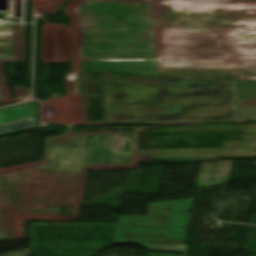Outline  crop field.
<instances>
[{
	"mask_svg": "<svg viewBox=\"0 0 256 256\" xmlns=\"http://www.w3.org/2000/svg\"><path fill=\"white\" fill-rule=\"evenodd\" d=\"M149 251L185 252L186 245L135 244Z\"/></svg>",
	"mask_w": 256,
	"mask_h": 256,
	"instance_id": "obj_4",
	"label": "crop field"
},
{
	"mask_svg": "<svg viewBox=\"0 0 256 256\" xmlns=\"http://www.w3.org/2000/svg\"><path fill=\"white\" fill-rule=\"evenodd\" d=\"M36 127L34 118L0 125V133Z\"/></svg>",
	"mask_w": 256,
	"mask_h": 256,
	"instance_id": "obj_3",
	"label": "crop field"
},
{
	"mask_svg": "<svg viewBox=\"0 0 256 256\" xmlns=\"http://www.w3.org/2000/svg\"><path fill=\"white\" fill-rule=\"evenodd\" d=\"M194 200L150 204L144 217L120 216L115 242L186 244Z\"/></svg>",
	"mask_w": 256,
	"mask_h": 256,
	"instance_id": "obj_1",
	"label": "crop field"
},
{
	"mask_svg": "<svg viewBox=\"0 0 256 256\" xmlns=\"http://www.w3.org/2000/svg\"><path fill=\"white\" fill-rule=\"evenodd\" d=\"M33 103L0 110V124L32 117Z\"/></svg>",
	"mask_w": 256,
	"mask_h": 256,
	"instance_id": "obj_2",
	"label": "crop field"
}]
</instances>
